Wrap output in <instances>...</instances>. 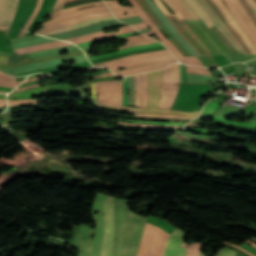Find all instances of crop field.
Returning a JSON list of instances; mask_svg holds the SVG:
<instances>
[{
	"label": "crop field",
	"instance_id": "1",
	"mask_svg": "<svg viewBox=\"0 0 256 256\" xmlns=\"http://www.w3.org/2000/svg\"><path fill=\"white\" fill-rule=\"evenodd\" d=\"M146 219L129 211L126 200L115 198V235L111 256H136Z\"/></svg>",
	"mask_w": 256,
	"mask_h": 256
},
{
	"label": "crop field",
	"instance_id": "2",
	"mask_svg": "<svg viewBox=\"0 0 256 256\" xmlns=\"http://www.w3.org/2000/svg\"><path fill=\"white\" fill-rule=\"evenodd\" d=\"M165 70V69H164ZM164 70L154 71L148 73V104L147 109L137 108V107H118V106H106L101 104H96V107L110 109V110H129L136 111L139 113H156V114H175V115H184V116H198L201 111L186 113L174 110H164L158 109V100H159V88L161 83V75Z\"/></svg>",
	"mask_w": 256,
	"mask_h": 256
},
{
	"label": "crop field",
	"instance_id": "3",
	"mask_svg": "<svg viewBox=\"0 0 256 256\" xmlns=\"http://www.w3.org/2000/svg\"><path fill=\"white\" fill-rule=\"evenodd\" d=\"M169 235L161 228L147 223L137 256H162Z\"/></svg>",
	"mask_w": 256,
	"mask_h": 256
},
{
	"label": "crop field",
	"instance_id": "4",
	"mask_svg": "<svg viewBox=\"0 0 256 256\" xmlns=\"http://www.w3.org/2000/svg\"><path fill=\"white\" fill-rule=\"evenodd\" d=\"M168 59H175V57L167 50H159L144 54H137V55H131L127 56L125 58L95 64L94 66H103L108 67L110 70L115 71L120 67H131L135 65H139L146 62L151 61H158V60H168Z\"/></svg>",
	"mask_w": 256,
	"mask_h": 256
},
{
	"label": "crop field",
	"instance_id": "5",
	"mask_svg": "<svg viewBox=\"0 0 256 256\" xmlns=\"http://www.w3.org/2000/svg\"><path fill=\"white\" fill-rule=\"evenodd\" d=\"M136 10L137 13L133 14H126V15H118L115 16L116 18H127L139 15L145 24L150 28L152 32L145 33L147 36L155 34L163 43L164 45L175 55V57L185 64H192V65H202V63L199 61L197 57H183L179 51L163 36V34L154 26V24L151 22V20L146 16V14L140 9V7L137 5L135 0H129Z\"/></svg>",
	"mask_w": 256,
	"mask_h": 256
},
{
	"label": "crop field",
	"instance_id": "6",
	"mask_svg": "<svg viewBox=\"0 0 256 256\" xmlns=\"http://www.w3.org/2000/svg\"><path fill=\"white\" fill-rule=\"evenodd\" d=\"M179 85V68L166 69L162 75L159 108L170 109Z\"/></svg>",
	"mask_w": 256,
	"mask_h": 256
},
{
	"label": "crop field",
	"instance_id": "7",
	"mask_svg": "<svg viewBox=\"0 0 256 256\" xmlns=\"http://www.w3.org/2000/svg\"><path fill=\"white\" fill-rule=\"evenodd\" d=\"M173 26L183 38L196 50L199 56L213 55L204 41L188 26L185 19L180 16H167Z\"/></svg>",
	"mask_w": 256,
	"mask_h": 256
},
{
	"label": "crop field",
	"instance_id": "8",
	"mask_svg": "<svg viewBox=\"0 0 256 256\" xmlns=\"http://www.w3.org/2000/svg\"><path fill=\"white\" fill-rule=\"evenodd\" d=\"M113 201L114 197L108 196L103 209L105 230L102 242L101 256H110L111 254V247L114 235V223L112 213Z\"/></svg>",
	"mask_w": 256,
	"mask_h": 256
},
{
	"label": "crop field",
	"instance_id": "9",
	"mask_svg": "<svg viewBox=\"0 0 256 256\" xmlns=\"http://www.w3.org/2000/svg\"><path fill=\"white\" fill-rule=\"evenodd\" d=\"M37 0H19L17 12L7 34L9 39L18 37L27 19L32 14Z\"/></svg>",
	"mask_w": 256,
	"mask_h": 256
},
{
	"label": "crop field",
	"instance_id": "10",
	"mask_svg": "<svg viewBox=\"0 0 256 256\" xmlns=\"http://www.w3.org/2000/svg\"><path fill=\"white\" fill-rule=\"evenodd\" d=\"M99 103L106 105L122 104V81L121 82H97Z\"/></svg>",
	"mask_w": 256,
	"mask_h": 256
},
{
	"label": "crop field",
	"instance_id": "11",
	"mask_svg": "<svg viewBox=\"0 0 256 256\" xmlns=\"http://www.w3.org/2000/svg\"><path fill=\"white\" fill-rule=\"evenodd\" d=\"M105 198H106V195L99 194L97 196V199L93 206V210H99L100 213L97 215H94L92 212V214L97 222V226H96L95 232H94L93 245H92V256H100L101 241H102V235H103V230H104L103 218H102V208L104 205Z\"/></svg>",
	"mask_w": 256,
	"mask_h": 256
},
{
	"label": "crop field",
	"instance_id": "12",
	"mask_svg": "<svg viewBox=\"0 0 256 256\" xmlns=\"http://www.w3.org/2000/svg\"><path fill=\"white\" fill-rule=\"evenodd\" d=\"M185 233L175 229L169 236L163 256H185L187 247L183 242Z\"/></svg>",
	"mask_w": 256,
	"mask_h": 256
},
{
	"label": "crop field",
	"instance_id": "13",
	"mask_svg": "<svg viewBox=\"0 0 256 256\" xmlns=\"http://www.w3.org/2000/svg\"><path fill=\"white\" fill-rule=\"evenodd\" d=\"M94 229L80 225L75 246H79V256H91L92 235Z\"/></svg>",
	"mask_w": 256,
	"mask_h": 256
},
{
	"label": "crop field",
	"instance_id": "14",
	"mask_svg": "<svg viewBox=\"0 0 256 256\" xmlns=\"http://www.w3.org/2000/svg\"><path fill=\"white\" fill-rule=\"evenodd\" d=\"M207 5L215 12L217 15L219 21L222 23V25L229 31V33L236 39L239 46L242 48V50L245 52V54L252 53L251 50L248 48L246 43L243 41V39L240 37V35L233 29L229 21L224 17L220 9L217 7V5L213 2V0H204Z\"/></svg>",
	"mask_w": 256,
	"mask_h": 256
},
{
	"label": "crop field",
	"instance_id": "15",
	"mask_svg": "<svg viewBox=\"0 0 256 256\" xmlns=\"http://www.w3.org/2000/svg\"><path fill=\"white\" fill-rule=\"evenodd\" d=\"M108 15H112L110 11L90 13V14H87V15H84V16L59 21L57 23L51 24L49 26H46V27L36 31V33L45 32V31H49V30H53V29H57V28H62V27H66V26L76 24L78 22H81V21H84V20H87V19L101 17V16H108Z\"/></svg>",
	"mask_w": 256,
	"mask_h": 256
},
{
	"label": "crop field",
	"instance_id": "16",
	"mask_svg": "<svg viewBox=\"0 0 256 256\" xmlns=\"http://www.w3.org/2000/svg\"><path fill=\"white\" fill-rule=\"evenodd\" d=\"M138 4L141 6L143 11L148 15V17L155 23V25L163 32V34L178 48L183 56L189 55L186 50L168 33L159 19L154 15V13L149 9L148 5L144 0H137Z\"/></svg>",
	"mask_w": 256,
	"mask_h": 256
},
{
	"label": "crop field",
	"instance_id": "17",
	"mask_svg": "<svg viewBox=\"0 0 256 256\" xmlns=\"http://www.w3.org/2000/svg\"><path fill=\"white\" fill-rule=\"evenodd\" d=\"M18 0H0V25L10 26Z\"/></svg>",
	"mask_w": 256,
	"mask_h": 256
},
{
	"label": "crop field",
	"instance_id": "18",
	"mask_svg": "<svg viewBox=\"0 0 256 256\" xmlns=\"http://www.w3.org/2000/svg\"><path fill=\"white\" fill-rule=\"evenodd\" d=\"M176 62H177L176 60H173V61H165V62L146 63V64L135 66L132 68L115 71V73L120 76H125V75L140 73L148 70L162 69Z\"/></svg>",
	"mask_w": 256,
	"mask_h": 256
},
{
	"label": "crop field",
	"instance_id": "19",
	"mask_svg": "<svg viewBox=\"0 0 256 256\" xmlns=\"http://www.w3.org/2000/svg\"><path fill=\"white\" fill-rule=\"evenodd\" d=\"M120 29L122 31L113 32V33H109V34H105V35H103V32L100 31V32L86 34V35H82V36H78V37H74V38H69V39H65V40L70 41L74 44H78V43H83V42H87V41H91V40H95V39H100V38H104V37H108V36H112V35H117V34L136 31L134 28H132L130 26L120 27Z\"/></svg>",
	"mask_w": 256,
	"mask_h": 256
},
{
	"label": "crop field",
	"instance_id": "20",
	"mask_svg": "<svg viewBox=\"0 0 256 256\" xmlns=\"http://www.w3.org/2000/svg\"><path fill=\"white\" fill-rule=\"evenodd\" d=\"M200 6L204 9L207 13L209 18L213 21L214 25L221 31V33L226 37V39L232 44V46L236 49L238 54H244L243 51L240 49L238 44L235 40L231 37V35L226 31V29L219 23L217 17L215 16L214 12L206 5L203 0H196Z\"/></svg>",
	"mask_w": 256,
	"mask_h": 256
},
{
	"label": "crop field",
	"instance_id": "21",
	"mask_svg": "<svg viewBox=\"0 0 256 256\" xmlns=\"http://www.w3.org/2000/svg\"><path fill=\"white\" fill-rule=\"evenodd\" d=\"M103 10H108L106 5L94 6V7H89V8H85V9H81V10H77V11L64 13V14L58 15V16L50 19L48 22L43 24V27L50 24V23H53V22H56V21H59V20H62V19L71 18V17H75V16H80V15H84V14H87V13H90V12H95V11H103Z\"/></svg>",
	"mask_w": 256,
	"mask_h": 256
},
{
	"label": "crop field",
	"instance_id": "22",
	"mask_svg": "<svg viewBox=\"0 0 256 256\" xmlns=\"http://www.w3.org/2000/svg\"><path fill=\"white\" fill-rule=\"evenodd\" d=\"M67 45H71V44L67 43V42H61V41L39 44V45H34V46L25 47V48H21V49H15V50H13L14 51L13 55L14 54L20 55L23 53L36 52V51H40V50H44V49L63 47V46H67Z\"/></svg>",
	"mask_w": 256,
	"mask_h": 256
},
{
	"label": "crop field",
	"instance_id": "23",
	"mask_svg": "<svg viewBox=\"0 0 256 256\" xmlns=\"http://www.w3.org/2000/svg\"><path fill=\"white\" fill-rule=\"evenodd\" d=\"M219 105H220V103H218V102H216V101H213V100H210V101L206 104V106H205V108H204V110H203V112H202V114H201L200 116L217 118V119H219V120H221V121H225V122H228V123H232V124H236V125H241V126L256 127V125H253V124L240 123V122H233V121L225 120V119L220 118V117L215 116V115H211V114L216 110V108H217Z\"/></svg>",
	"mask_w": 256,
	"mask_h": 256
},
{
	"label": "crop field",
	"instance_id": "24",
	"mask_svg": "<svg viewBox=\"0 0 256 256\" xmlns=\"http://www.w3.org/2000/svg\"><path fill=\"white\" fill-rule=\"evenodd\" d=\"M188 20L200 19L186 0H170Z\"/></svg>",
	"mask_w": 256,
	"mask_h": 256
},
{
	"label": "crop field",
	"instance_id": "25",
	"mask_svg": "<svg viewBox=\"0 0 256 256\" xmlns=\"http://www.w3.org/2000/svg\"><path fill=\"white\" fill-rule=\"evenodd\" d=\"M64 86H70V85L54 84V85L41 86V87H37V88H33V89L21 91V92L9 94L8 98H14V97H20V96H29V95H40V94H44V92L46 91L47 88L64 87Z\"/></svg>",
	"mask_w": 256,
	"mask_h": 256
},
{
	"label": "crop field",
	"instance_id": "26",
	"mask_svg": "<svg viewBox=\"0 0 256 256\" xmlns=\"http://www.w3.org/2000/svg\"><path fill=\"white\" fill-rule=\"evenodd\" d=\"M226 6L229 8V10L231 11V13L233 14V16L235 17V19L237 20V22L240 24V26L245 30V32L250 36V38L252 39V41L255 43L256 45V37L255 35L250 31V29L247 27V25L245 24L244 20L242 19V17L240 16V14L238 13V11L236 10V8L234 7V5L231 3L230 0H222Z\"/></svg>",
	"mask_w": 256,
	"mask_h": 256
},
{
	"label": "crop field",
	"instance_id": "27",
	"mask_svg": "<svg viewBox=\"0 0 256 256\" xmlns=\"http://www.w3.org/2000/svg\"><path fill=\"white\" fill-rule=\"evenodd\" d=\"M109 19H115L114 16H109V17H102V18H96V19H91V20H87L85 22L70 26V27H66V28H62V29H58V30H54V31H50V32H45V33H40L42 35H47V34H55V33H61V32H65L68 30H72V29H76V28H80V27H84L93 23H97V22H101V21H105V20H109Z\"/></svg>",
	"mask_w": 256,
	"mask_h": 256
},
{
	"label": "crop field",
	"instance_id": "28",
	"mask_svg": "<svg viewBox=\"0 0 256 256\" xmlns=\"http://www.w3.org/2000/svg\"><path fill=\"white\" fill-rule=\"evenodd\" d=\"M233 2V4L235 5V7L237 8V10L239 11V13L241 14V16L243 17V19L245 20V22L247 23L248 27L252 30V32L256 35V25L254 24V22L251 20L249 14L247 13V11L245 10V8L243 7V5L240 3L239 0H231Z\"/></svg>",
	"mask_w": 256,
	"mask_h": 256
},
{
	"label": "crop field",
	"instance_id": "29",
	"mask_svg": "<svg viewBox=\"0 0 256 256\" xmlns=\"http://www.w3.org/2000/svg\"><path fill=\"white\" fill-rule=\"evenodd\" d=\"M189 4L194 8V10L199 14V16L203 19V21L206 23V25L209 27V29L212 27V22L208 18V16L205 14L203 9L199 6V4L195 0H187Z\"/></svg>",
	"mask_w": 256,
	"mask_h": 256
},
{
	"label": "crop field",
	"instance_id": "30",
	"mask_svg": "<svg viewBox=\"0 0 256 256\" xmlns=\"http://www.w3.org/2000/svg\"><path fill=\"white\" fill-rule=\"evenodd\" d=\"M160 45H161L160 43H156V44L138 46V47H133V48H128V49L119 50V51L114 52V53H109V54L99 55V56H95V57H90V58H88V59H89V60L99 59V58H104V57H109V56L117 55V54H120V53H123V52H127V51H131V50H136V49H141V48H147V47H153V46H160Z\"/></svg>",
	"mask_w": 256,
	"mask_h": 256
},
{
	"label": "crop field",
	"instance_id": "31",
	"mask_svg": "<svg viewBox=\"0 0 256 256\" xmlns=\"http://www.w3.org/2000/svg\"><path fill=\"white\" fill-rule=\"evenodd\" d=\"M21 82H22V81L16 83L15 77L12 78V76H10V75H3V74H0V86L15 88V87L18 86Z\"/></svg>",
	"mask_w": 256,
	"mask_h": 256
},
{
	"label": "crop field",
	"instance_id": "32",
	"mask_svg": "<svg viewBox=\"0 0 256 256\" xmlns=\"http://www.w3.org/2000/svg\"><path fill=\"white\" fill-rule=\"evenodd\" d=\"M141 74L135 75V106L140 107Z\"/></svg>",
	"mask_w": 256,
	"mask_h": 256
},
{
	"label": "crop field",
	"instance_id": "33",
	"mask_svg": "<svg viewBox=\"0 0 256 256\" xmlns=\"http://www.w3.org/2000/svg\"><path fill=\"white\" fill-rule=\"evenodd\" d=\"M146 91H147V74H142V107L146 108L147 98H146Z\"/></svg>",
	"mask_w": 256,
	"mask_h": 256
},
{
	"label": "crop field",
	"instance_id": "34",
	"mask_svg": "<svg viewBox=\"0 0 256 256\" xmlns=\"http://www.w3.org/2000/svg\"><path fill=\"white\" fill-rule=\"evenodd\" d=\"M41 3H42V0H38L36 8H35L33 14L30 16V18H29V20H28V22H27V24H26L24 29H26V30L28 29L29 25L31 24V22L35 18L36 14L38 13V11H39V9L41 7ZM25 33H26V31L22 30V32L20 33L19 37L24 36Z\"/></svg>",
	"mask_w": 256,
	"mask_h": 256
},
{
	"label": "crop field",
	"instance_id": "35",
	"mask_svg": "<svg viewBox=\"0 0 256 256\" xmlns=\"http://www.w3.org/2000/svg\"><path fill=\"white\" fill-rule=\"evenodd\" d=\"M186 72L210 75L207 68L194 67V66H188V65H186Z\"/></svg>",
	"mask_w": 256,
	"mask_h": 256
},
{
	"label": "crop field",
	"instance_id": "36",
	"mask_svg": "<svg viewBox=\"0 0 256 256\" xmlns=\"http://www.w3.org/2000/svg\"><path fill=\"white\" fill-rule=\"evenodd\" d=\"M200 248V243H192L187 251L186 256H198Z\"/></svg>",
	"mask_w": 256,
	"mask_h": 256
},
{
	"label": "crop field",
	"instance_id": "37",
	"mask_svg": "<svg viewBox=\"0 0 256 256\" xmlns=\"http://www.w3.org/2000/svg\"><path fill=\"white\" fill-rule=\"evenodd\" d=\"M115 123L119 124H125V125H135V126H149V127H162V128H179L182 129L184 126H160V125H153V124H136V123H125V122H117Z\"/></svg>",
	"mask_w": 256,
	"mask_h": 256
},
{
	"label": "crop field",
	"instance_id": "38",
	"mask_svg": "<svg viewBox=\"0 0 256 256\" xmlns=\"http://www.w3.org/2000/svg\"><path fill=\"white\" fill-rule=\"evenodd\" d=\"M128 106V77L123 80V104Z\"/></svg>",
	"mask_w": 256,
	"mask_h": 256
},
{
	"label": "crop field",
	"instance_id": "39",
	"mask_svg": "<svg viewBox=\"0 0 256 256\" xmlns=\"http://www.w3.org/2000/svg\"><path fill=\"white\" fill-rule=\"evenodd\" d=\"M205 66L209 67H219L217 63L212 59L211 56L199 57Z\"/></svg>",
	"mask_w": 256,
	"mask_h": 256
},
{
	"label": "crop field",
	"instance_id": "40",
	"mask_svg": "<svg viewBox=\"0 0 256 256\" xmlns=\"http://www.w3.org/2000/svg\"><path fill=\"white\" fill-rule=\"evenodd\" d=\"M235 253H236L235 251L230 250L229 247H226L224 249H221L216 256H235ZM199 256H205V255L200 252Z\"/></svg>",
	"mask_w": 256,
	"mask_h": 256
},
{
	"label": "crop field",
	"instance_id": "41",
	"mask_svg": "<svg viewBox=\"0 0 256 256\" xmlns=\"http://www.w3.org/2000/svg\"><path fill=\"white\" fill-rule=\"evenodd\" d=\"M136 34H140V33H139V32H134V33H127V34L112 36V37H108V38H104V39H100V40H96V41H92V42H88V43L78 44L77 46L80 47V46L92 44V43H94V42L101 41V40H107V39H113V38H120V37H125V36H130V35H136Z\"/></svg>",
	"mask_w": 256,
	"mask_h": 256
},
{
	"label": "crop field",
	"instance_id": "42",
	"mask_svg": "<svg viewBox=\"0 0 256 256\" xmlns=\"http://www.w3.org/2000/svg\"><path fill=\"white\" fill-rule=\"evenodd\" d=\"M42 100H20V101H8L9 106L10 105H24V104H33V103H39Z\"/></svg>",
	"mask_w": 256,
	"mask_h": 256
},
{
	"label": "crop field",
	"instance_id": "43",
	"mask_svg": "<svg viewBox=\"0 0 256 256\" xmlns=\"http://www.w3.org/2000/svg\"><path fill=\"white\" fill-rule=\"evenodd\" d=\"M241 2L243 3V5L245 6V8L247 9V11L249 12L250 16L252 17V19L254 20V22L256 24V14L253 11V9L251 8L248 1L247 0H241Z\"/></svg>",
	"mask_w": 256,
	"mask_h": 256
},
{
	"label": "crop field",
	"instance_id": "44",
	"mask_svg": "<svg viewBox=\"0 0 256 256\" xmlns=\"http://www.w3.org/2000/svg\"><path fill=\"white\" fill-rule=\"evenodd\" d=\"M99 4H104V2L96 3V4L81 5V6H77V7L71 8V9L58 11V12H55V13H54V15H53L52 17H54V16H56V15H58V14L62 13V12H65V11L76 10V9H80V8H84V7H88V6L99 5ZM52 17H51V18H52Z\"/></svg>",
	"mask_w": 256,
	"mask_h": 256
},
{
	"label": "crop field",
	"instance_id": "45",
	"mask_svg": "<svg viewBox=\"0 0 256 256\" xmlns=\"http://www.w3.org/2000/svg\"><path fill=\"white\" fill-rule=\"evenodd\" d=\"M123 120V119H118ZM123 121H130V122H139V123H155V124H176V125H186L187 123H168V122H146V121H135V120H123Z\"/></svg>",
	"mask_w": 256,
	"mask_h": 256
},
{
	"label": "crop field",
	"instance_id": "46",
	"mask_svg": "<svg viewBox=\"0 0 256 256\" xmlns=\"http://www.w3.org/2000/svg\"><path fill=\"white\" fill-rule=\"evenodd\" d=\"M112 12L114 13V15H118V14L133 13L135 11L132 7V8H127V9L112 10Z\"/></svg>",
	"mask_w": 256,
	"mask_h": 256
},
{
	"label": "crop field",
	"instance_id": "47",
	"mask_svg": "<svg viewBox=\"0 0 256 256\" xmlns=\"http://www.w3.org/2000/svg\"><path fill=\"white\" fill-rule=\"evenodd\" d=\"M140 116H151V115H141V114H136ZM151 117H172V118H185V119H193L195 117H183V116H171V115H162V116H151Z\"/></svg>",
	"mask_w": 256,
	"mask_h": 256
},
{
	"label": "crop field",
	"instance_id": "48",
	"mask_svg": "<svg viewBox=\"0 0 256 256\" xmlns=\"http://www.w3.org/2000/svg\"><path fill=\"white\" fill-rule=\"evenodd\" d=\"M150 43H156V41L152 40V41L143 42V43L129 44V45L122 46L119 49L133 47V46H138V45H144V44H150Z\"/></svg>",
	"mask_w": 256,
	"mask_h": 256
},
{
	"label": "crop field",
	"instance_id": "49",
	"mask_svg": "<svg viewBox=\"0 0 256 256\" xmlns=\"http://www.w3.org/2000/svg\"><path fill=\"white\" fill-rule=\"evenodd\" d=\"M240 246L244 247L245 249H247L248 251H250L251 253H253V254L256 255V249H255V248H253V247H251V246L245 244L244 242L241 243ZM242 247H241V248H242ZM244 248H243V249H244Z\"/></svg>",
	"mask_w": 256,
	"mask_h": 256
},
{
	"label": "crop field",
	"instance_id": "50",
	"mask_svg": "<svg viewBox=\"0 0 256 256\" xmlns=\"http://www.w3.org/2000/svg\"><path fill=\"white\" fill-rule=\"evenodd\" d=\"M63 0H57L55 3V6L53 7L49 17H51L53 15V13L61 6Z\"/></svg>",
	"mask_w": 256,
	"mask_h": 256
},
{
	"label": "crop field",
	"instance_id": "51",
	"mask_svg": "<svg viewBox=\"0 0 256 256\" xmlns=\"http://www.w3.org/2000/svg\"><path fill=\"white\" fill-rule=\"evenodd\" d=\"M132 26L138 28L139 30L147 28V26L144 24V22L133 24Z\"/></svg>",
	"mask_w": 256,
	"mask_h": 256
},
{
	"label": "crop field",
	"instance_id": "52",
	"mask_svg": "<svg viewBox=\"0 0 256 256\" xmlns=\"http://www.w3.org/2000/svg\"><path fill=\"white\" fill-rule=\"evenodd\" d=\"M145 36L143 34H140V35H136V36H131V37H127L128 39L127 40H131V39H138V38H144ZM126 38V37H125ZM125 38H120L124 41H126Z\"/></svg>",
	"mask_w": 256,
	"mask_h": 256
},
{
	"label": "crop field",
	"instance_id": "53",
	"mask_svg": "<svg viewBox=\"0 0 256 256\" xmlns=\"http://www.w3.org/2000/svg\"><path fill=\"white\" fill-rule=\"evenodd\" d=\"M91 87V91L93 94V99H96V87H95V83L90 84Z\"/></svg>",
	"mask_w": 256,
	"mask_h": 256
},
{
	"label": "crop field",
	"instance_id": "54",
	"mask_svg": "<svg viewBox=\"0 0 256 256\" xmlns=\"http://www.w3.org/2000/svg\"><path fill=\"white\" fill-rule=\"evenodd\" d=\"M7 57L0 56V65H8L7 64Z\"/></svg>",
	"mask_w": 256,
	"mask_h": 256
},
{
	"label": "crop field",
	"instance_id": "55",
	"mask_svg": "<svg viewBox=\"0 0 256 256\" xmlns=\"http://www.w3.org/2000/svg\"><path fill=\"white\" fill-rule=\"evenodd\" d=\"M110 9H116V8H126L128 6H121V5H118V4H113V5H109Z\"/></svg>",
	"mask_w": 256,
	"mask_h": 256
},
{
	"label": "crop field",
	"instance_id": "56",
	"mask_svg": "<svg viewBox=\"0 0 256 256\" xmlns=\"http://www.w3.org/2000/svg\"><path fill=\"white\" fill-rule=\"evenodd\" d=\"M37 86H39V84L33 85V86L24 87V88H18V89H15V90L12 91V92H16V91H20V90H24V89H29V88H33V87H37ZM12 92H11V93H12Z\"/></svg>",
	"mask_w": 256,
	"mask_h": 256
},
{
	"label": "crop field",
	"instance_id": "57",
	"mask_svg": "<svg viewBox=\"0 0 256 256\" xmlns=\"http://www.w3.org/2000/svg\"><path fill=\"white\" fill-rule=\"evenodd\" d=\"M48 76H51V75H42V76H38V77H35V78L26 79L24 82H28V81L36 80V79H38V78L48 77ZM24 82H23V83H24Z\"/></svg>",
	"mask_w": 256,
	"mask_h": 256
},
{
	"label": "crop field",
	"instance_id": "58",
	"mask_svg": "<svg viewBox=\"0 0 256 256\" xmlns=\"http://www.w3.org/2000/svg\"><path fill=\"white\" fill-rule=\"evenodd\" d=\"M148 40H151V39L145 38V39L133 40V41L126 42V44H128V43H135V42H142V41H148Z\"/></svg>",
	"mask_w": 256,
	"mask_h": 256
},
{
	"label": "crop field",
	"instance_id": "59",
	"mask_svg": "<svg viewBox=\"0 0 256 256\" xmlns=\"http://www.w3.org/2000/svg\"><path fill=\"white\" fill-rule=\"evenodd\" d=\"M223 243H227V242H223ZM228 244H230V243H228ZM230 245H232V246H234V247H237V246H235V245H233V244H230ZM237 248H239V247H237ZM239 249H241V248H239ZM242 251H244V252H246V253H248V254H250L251 256H254L253 254H251V253H249V252H247V251H245V250H243V249H241Z\"/></svg>",
	"mask_w": 256,
	"mask_h": 256
},
{
	"label": "crop field",
	"instance_id": "60",
	"mask_svg": "<svg viewBox=\"0 0 256 256\" xmlns=\"http://www.w3.org/2000/svg\"><path fill=\"white\" fill-rule=\"evenodd\" d=\"M0 106H7L6 100H0Z\"/></svg>",
	"mask_w": 256,
	"mask_h": 256
},
{
	"label": "crop field",
	"instance_id": "61",
	"mask_svg": "<svg viewBox=\"0 0 256 256\" xmlns=\"http://www.w3.org/2000/svg\"><path fill=\"white\" fill-rule=\"evenodd\" d=\"M245 242H247V243H249L250 245H252V246L256 247V244H255V243H253V242H251V241H249V240H247V241H245Z\"/></svg>",
	"mask_w": 256,
	"mask_h": 256
},
{
	"label": "crop field",
	"instance_id": "62",
	"mask_svg": "<svg viewBox=\"0 0 256 256\" xmlns=\"http://www.w3.org/2000/svg\"><path fill=\"white\" fill-rule=\"evenodd\" d=\"M251 2V4L254 6L255 10H256V3L254 0H249Z\"/></svg>",
	"mask_w": 256,
	"mask_h": 256
},
{
	"label": "crop field",
	"instance_id": "63",
	"mask_svg": "<svg viewBox=\"0 0 256 256\" xmlns=\"http://www.w3.org/2000/svg\"><path fill=\"white\" fill-rule=\"evenodd\" d=\"M112 3H118V0L117 1H108V2H106V4H112Z\"/></svg>",
	"mask_w": 256,
	"mask_h": 256
},
{
	"label": "crop field",
	"instance_id": "64",
	"mask_svg": "<svg viewBox=\"0 0 256 256\" xmlns=\"http://www.w3.org/2000/svg\"><path fill=\"white\" fill-rule=\"evenodd\" d=\"M250 240L256 242V238H254V237L250 238Z\"/></svg>",
	"mask_w": 256,
	"mask_h": 256
},
{
	"label": "crop field",
	"instance_id": "65",
	"mask_svg": "<svg viewBox=\"0 0 256 256\" xmlns=\"http://www.w3.org/2000/svg\"><path fill=\"white\" fill-rule=\"evenodd\" d=\"M0 93H9V92H3V91H0Z\"/></svg>",
	"mask_w": 256,
	"mask_h": 256
},
{
	"label": "crop field",
	"instance_id": "66",
	"mask_svg": "<svg viewBox=\"0 0 256 256\" xmlns=\"http://www.w3.org/2000/svg\"><path fill=\"white\" fill-rule=\"evenodd\" d=\"M71 1V0H65L64 2Z\"/></svg>",
	"mask_w": 256,
	"mask_h": 256
},
{
	"label": "crop field",
	"instance_id": "67",
	"mask_svg": "<svg viewBox=\"0 0 256 256\" xmlns=\"http://www.w3.org/2000/svg\"><path fill=\"white\" fill-rule=\"evenodd\" d=\"M228 9V8H227ZM229 11V10H228ZM230 12V11H229ZM235 29V28H234ZM236 30V29H235ZM237 31V30H236ZM238 32V31H237Z\"/></svg>",
	"mask_w": 256,
	"mask_h": 256
},
{
	"label": "crop field",
	"instance_id": "68",
	"mask_svg": "<svg viewBox=\"0 0 256 256\" xmlns=\"http://www.w3.org/2000/svg\"><path fill=\"white\" fill-rule=\"evenodd\" d=\"M157 5V4H156ZM158 6V5H157ZM161 10V9H160ZM162 11V10H161ZM163 12V11H162Z\"/></svg>",
	"mask_w": 256,
	"mask_h": 256
},
{
	"label": "crop field",
	"instance_id": "69",
	"mask_svg": "<svg viewBox=\"0 0 256 256\" xmlns=\"http://www.w3.org/2000/svg\"><path fill=\"white\" fill-rule=\"evenodd\" d=\"M63 4H64V3H63ZM63 4H62V5H63ZM61 7H62V6H61ZM61 7H60V8H61ZM60 8H59V9H60Z\"/></svg>",
	"mask_w": 256,
	"mask_h": 256
},
{
	"label": "crop field",
	"instance_id": "70",
	"mask_svg": "<svg viewBox=\"0 0 256 256\" xmlns=\"http://www.w3.org/2000/svg\"><path fill=\"white\" fill-rule=\"evenodd\" d=\"M1 73V72H0Z\"/></svg>",
	"mask_w": 256,
	"mask_h": 256
}]
</instances>
